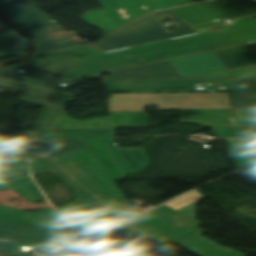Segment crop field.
<instances>
[{"label": "crop field", "instance_id": "e52e79f7", "mask_svg": "<svg viewBox=\"0 0 256 256\" xmlns=\"http://www.w3.org/2000/svg\"><path fill=\"white\" fill-rule=\"evenodd\" d=\"M110 92H232L230 79L102 80Z\"/></svg>", "mask_w": 256, "mask_h": 256}, {"label": "crop field", "instance_id": "5866460e", "mask_svg": "<svg viewBox=\"0 0 256 256\" xmlns=\"http://www.w3.org/2000/svg\"><path fill=\"white\" fill-rule=\"evenodd\" d=\"M213 132L220 138H235L234 127H213Z\"/></svg>", "mask_w": 256, "mask_h": 256}, {"label": "crop field", "instance_id": "1d83c4d3", "mask_svg": "<svg viewBox=\"0 0 256 256\" xmlns=\"http://www.w3.org/2000/svg\"><path fill=\"white\" fill-rule=\"evenodd\" d=\"M234 108H256V93H232Z\"/></svg>", "mask_w": 256, "mask_h": 256}, {"label": "crop field", "instance_id": "8a807250", "mask_svg": "<svg viewBox=\"0 0 256 256\" xmlns=\"http://www.w3.org/2000/svg\"><path fill=\"white\" fill-rule=\"evenodd\" d=\"M256 16L194 28L198 34L128 49L101 53L79 47L34 54L24 63L34 69L69 79L112 72L256 42Z\"/></svg>", "mask_w": 256, "mask_h": 256}, {"label": "crop field", "instance_id": "bd1437ed", "mask_svg": "<svg viewBox=\"0 0 256 256\" xmlns=\"http://www.w3.org/2000/svg\"><path fill=\"white\" fill-rule=\"evenodd\" d=\"M198 78H256V66L212 74Z\"/></svg>", "mask_w": 256, "mask_h": 256}, {"label": "crop field", "instance_id": "a9b5d70f", "mask_svg": "<svg viewBox=\"0 0 256 256\" xmlns=\"http://www.w3.org/2000/svg\"><path fill=\"white\" fill-rule=\"evenodd\" d=\"M106 120L108 126H141L149 124V114L146 112H109Z\"/></svg>", "mask_w": 256, "mask_h": 256}, {"label": "crop field", "instance_id": "28ad6ade", "mask_svg": "<svg viewBox=\"0 0 256 256\" xmlns=\"http://www.w3.org/2000/svg\"><path fill=\"white\" fill-rule=\"evenodd\" d=\"M31 34L35 40V51L42 52L53 49H60L72 46L85 45L89 42L73 40L77 36L74 32L69 33L57 26L53 21L23 28Z\"/></svg>", "mask_w": 256, "mask_h": 256}, {"label": "crop field", "instance_id": "d1516ede", "mask_svg": "<svg viewBox=\"0 0 256 256\" xmlns=\"http://www.w3.org/2000/svg\"><path fill=\"white\" fill-rule=\"evenodd\" d=\"M6 16L20 28L51 21L31 0H0Z\"/></svg>", "mask_w": 256, "mask_h": 256}, {"label": "crop field", "instance_id": "dd49c442", "mask_svg": "<svg viewBox=\"0 0 256 256\" xmlns=\"http://www.w3.org/2000/svg\"><path fill=\"white\" fill-rule=\"evenodd\" d=\"M7 188L14 189L32 202L44 198L43 194L40 192L31 178H25L8 183H0V190ZM0 221L29 227L68 238L75 237L57 231L59 227L68 225V223L53 208L30 214L0 205Z\"/></svg>", "mask_w": 256, "mask_h": 256}, {"label": "crop field", "instance_id": "ac0d7876", "mask_svg": "<svg viewBox=\"0 0 256 256\" xmlns=\"http://www.w3.org/2000/svg\"><path fill=\"white\" fill-rule=\"evenodd\" d=\"M52 164L73 180L98 203L130 218L143 212L127 203L108 172L88 147L51 158Z\"/></svg>", "mask_w": 256, "mask_h": 256}, {"label": "crop field", "instance_id": "dafd665d", "mask_svg": "<svg viewBox=\"0 0 256 256\" xmlns=\"http://www.w3.org/2000/svg\"><path fill=\"white\" fill-rule=\"evenodd\" d=\"M183 120L209 125H234L231 109H182Z\"/></svg>", "mask_w": 256, "mask_h": 256}, {"label": "crop field", "instance_id": "d9b57169", "mask_svg": "<svg viewBox=\"0 0 256 256\" xmlns=\"http://www.w3.org/2000/svg\"><path fill=\"white\" fill-rule=\"evenodd\" d=\"M46 127H105V124L103 117L76 121L66 111L44 107L32 128Z\"/></svg>", "mask_w": 256, "mask_h": 256}, {"label": "crop field", "instance_id": "d32e631a", "mask_svg": "<svg viewBox=\"0 0 256 256\" xmlns=\"http://www.w3.org/2000/svg\"><path fill=\"white\" fill-rule=\"evenodd\" d=\"M233 85L236 92L256 91V80H233Z\"/></svg>", "mask_w": 256, "mask_h": 256}, {"label": "crop field", "instance_id": "22f410ed", "mask_svg": "<svg viewBox=\"0 0 256 256\" xmlns=\"http://www.w3.org/2000/svg\"><path fill=\"white\" fill-rule=\"evenodd\" d=\"M0 238L57 249L59 236L0 222Z\"/></svg>", "mask_w": 256, "mask_h": 256}, {"label": "crop field", "instance_id": "3316defc", "mask_svg": "<svg viewBox=\"0 0 256 256\" xmlns=\"http://www.w3.org/2000/svg\"><path fill=\"white\" fill-rule=\"evenodd\" d=\"M58 210L83 233L125 219L86 197L68 203L58 208Z\"/></svg>", "mask_w": 256, "mask_h": 256}, {"label": "crop field", "instance_id": "4177f3b9", "mask_svg": "<svg viewBox=\"0 0 256 256\" xmlns=\"http://www.w3.org/2000/svg\"><path fill=\"white\" fill-rule=\"evenodd\" d=\"M229 143L231 155L239 167L256 172V156L246 150L237 140H229Z\"/></svg>", "mask_w": 256, "mask_h": 256}, {"label": "crop field", "instance_id": "ae1a2a85", "mask_svg": "<svg viewBox=\"0 0 256 256\" xmlns=\"http://www.w3.org/2000/svg\"><path fill=\"white\" fill-rule=\"evenodd\" d=\"M32 163V171L33 175L44 173L51 171L56 176H58L61 180H63L65 183H67L69 186H71L76 194V198H80L83 196H86L83 192H81L74 184H72L67 178H65L62 174H60L51 164L49 159H39V160H31ZM70 187V188H71Z\"/></svg>", "mask_w": 256, "mask_h": 256}, {"label": "crop field", "instance_id": "5d738f31", "mask_svg": "<svg viewBox=\"0 0 256 256\" xmlns=\"http://www.w3.org/2000/svg\"><path fill=\"white\" fill-rule=\"evenodd\" d=\"M126 220V219H125ZM124 221V220H123ZM120 222H122V221H120ZM119 223V222H118ZM116 224V223H115ZM114 225V224H113ZM111 226V225H110Z\"/></svg>", "mask_w": 256, "mask_h": 256}, {"label": "crop field", "instance_id": "4a817a6b", "mask_svg": "<svg viewBox=\"0 0 256 256\" xmlns=\"http://www.w3.org/2000/svg\"><path fill=\"white\" fill-rule=\"evenodd\" d=\"M28 143H40L50 145V152L29 153ZM21 150H13L15 159L21 158H48L57 156L81 147L86 146L83 140L54 141V140H38V141H21Z\"/></svg>", "mask_w": 256, "mask_h": 256}, {"label": "crop field", "instance_id": "412701ff", "mask_svg": "<svg viewBox=\"0 0 256 256\" xmlns=\"http://www.w3.org/2000/svg\"><path fill=\"white\" fill-rule=\"evenodd\" d=\"M104 8L85 12L82 19L92 27L109 33L151 11H157L195 0H97Z\"/></svg>", "mask_w": 256, "mask_h": 256}, {"label": "crop field", "instance_id": "5142ce71", "mask_svg": "<svg viewBox=\"0 0 256 256\" xmlns=\"http://www.w3.org/2000/svg\"><path fill=\"white\" fill-rule=\"evenodd\" d=\"M0 74L25 80V81L46 85V86L57 88L64 91L68 90L70 87H72L77 83V81H72L69 79L57 77L54 75H50L47 73H43V72L26 68L23 66H19V65H11L8 68L0 70Z\"/></svg>", "mask_w": 256, "mask_h": 256}, {"label": "crop field", "instance_id": "5a996713", "mask_svg": "<svg viewBox=\"0 0 256 256\" xmlns=\"http://www.w3.org/2000/svg\"><path fill=\"white\" fill-rule=\"evenodd\" d=\"M190 26L226 18L256 13V5L249 0H210L172 9Z\"/></svg>", "mask_w": 256, "mask_h": 256}, {"label": "crop field", "instance_id": "750c4746", "mask_svg": "<svg viewBox=\"0 0 256 256\" xmlns=\"http://www.w3.org/2000/svg\"><path fill=\"white\" fill-rule=\"evenodd\" d=\"M27 44L26 39L13 29L0 31V51Z\"/></svg>", "mask_w": 256, "mask_h": 256}, {"label": "crop field", "instance_id": "214f88e0", "mask_svg": "<svg viewBox=\"0 0 256 256\" xmlns=\"http://www.w3.org/2000/svg\"><path fill=\"white\" fill-rule=\"evenodd\" d=\"M115 129H35L30 139L114 137Z\"/></svg>", "mask_w": 256, "mask_h": 256}, {"label": "crop field", "instance_id": "bc2a9ffb", "mask_svg": "<svg viewBox=\"0 0 256 256\" xmlns=\"http://www.w3.org/2000/svg\"><path fill=\"white\" fill-rule=\"evenodd\" d=\"M109 74L111 77L182 78L169 61Z\"/></svg>", "mask_w": 256, "mask_h": 256}, {"label": "crop field", "instance_id": "120bbe31", "mask_svg": "<svg viewBox=\"0 0 256 256\" xmlns=\"http://www.w3.org/2000/svg\"><path fill=\"white\" fill-rule=\"evenodd\" d=\"M236 125L256 126V109H234Z\"/></svg>", "mask_w": 256, "mask_h": 256}, {"label": "crop field", "instance_id": "eef30255", "mask_svg": "<svg viewBox=\"0 0 256 256\" xmlns=\"http://www.w3.org/2000/svg\"><path fill=\"white\" fill-rule=\"evenodd\" d=\"M4 92H12V91L0 89V93H4ZM12 93H17V92H12ZM18 98H19V101L23 103L46 106V107L57 108L62 110H65L67 104L69 103L67 101H62L58 99L48 98V97L34 95L30 93H25V92L19 93Z\"/></svg>", "mask_w": 256, "mask_h": 256}, {"label": "crop field", "instance_id": "00972430", "mask_svg": "<svg viewBox=\"0 0 256 256\" xmlns=\"http://www.w3.org/2000/svg\"><path fill=\"white\" fill-rule=\"evenodd\" d=\"M13 83H18L26 87L22 88L20 87L21 85H15ZM0 87L30 92L34 94L44 95V96L58 98V99L67 100V101H74L76 97V95L73 93H68V92L57 90V89L49 88L46 86L25 82L17 79H11L3 76H0ZM60 95L69 97L71 99L59 97Z\"/></svg>", "mask_w": 256, "mask_h": 256}, {"label": "crop field", "instance_id": "733c2abd", "mask_svg": "<svg viewBox=\"0 0 256 256\" xmlns=\"http://www.w3.org/2000/svg\"><path fill=\"white\" fill-rule=\"evenodd\" d=\"M201 198H203V196L197 190H195L157 209L187 223L188 225L202 232H205L204 230L196 227L201 223L196 221L194 203Z\"/></svg>", "mask_w": 256, "mask_h": 256}, {"label": "crop field", "instance_id": "cbeb9de0", "mask_svg": "<svg viewBox=\"0 0 256 256\" xmlns=\"http://www.w3.org/2000/svg\"><path fill=\"white\" fill-rule=\"evenodd\" d=\"M217 56V55H216ZM213 52L171 60V64L182 77H190L220 70L226 67Z\"/></svg>", "mask_w": 256, "mask_h": 256}, {"label": "crop field", "instance_id": "03da06ac", "mask_svg": "<svg viewBox=\"0 0 256 256\" xmlns=\"http://www.w3.org/2000/svg\"><path fill=\"white\" fill-rule=\"evenodd\" d=\"M9 27L4 25L0 19V30H3V29H8Z\"/></svg>", "mask_w": 256, "mask_h": 256}, {"label": "crop field", "instance_id": "34b2d1b8", "mask_svg": "<svg viewBox=\"0 0 256 256\" xmlns=\"http://www.w3.org/2000/svg\"><path fill=\"white\" fill-rule=\"evenodd\" d=\"M126 225L138 237L178 243L200 256H246L200 236L202 233L154 209Z\"/></svg>", "mask_w": 256, "mask_h": 256}, {"label": "crop field", "instance_id": "92a150f3", "mask_svg": "<svg viewBox=\"0 0 256 256\" xmlns=\"http://www.w3.org/2000/svg\"><path fill=\"white\" fill-rule=\"evenodd\" d=\"M227 69L256 64V43L215 51Z\"/></svg>", "mask_w": 256, "mask_h": 256}, {"label": "crop field", "instance_id": "f4fd0767", "mask_svg": "<svg viewBox=\"0 0 256 256\" xmlns=\"http://www.w3.org/2000/svg\"><path fill=\"white\" fill-rule=\"evenodd\" d=\"M164 15H170L176 21V31L169 33L157 23L158 18ZM190 33H194V30L175 13L168 10L152 13L92 45L102 51H107Z\"/></svg>", "mask_w": 256, "mask_h": 256}, {"label": "crop field", "instance_id": "d8731c3e", "mask_svg": "<svg viewBox=\"0 0 256 256\" xmlns=\"http://www.w3.org/2000/svg\"><path fill=\"white\" fill-rule=\"evenodd\" d=\"M113 180L141 171L147 167L148 157L142 148H117L113 139H84Z\"/></svg>", "mask_w": 256, "mask_h": 256}, {"label": "crop field", "instance_id": "028f5c9d", "mask_svg": "<svg viewBox=\"0 0 256 256\" xmlns=\"http://www.w3.org/2000/svg\"><path fill=\"white\" fill-rule=\"evenodd\" d=\"M238 138H256V127H237Z\"/></svg>", "mask_w": 256, "mask_h": 256}, {"label": "crop field", "instance_id": "c035e120", "mask_svg": "<svg viewBox=\"0 0 256 256\" xmlns=\"http://www.w3.org/2000/svg\"><path fill=\"white\" fill-rule=\"evenodd\" d=\"M0 153H12V147L10 142L0 143Z\"/></svg>", "mask_w": 256, "mask_h": 256}, {"label": "crop field", "instance_id": "d3111659", "mask_svg": "<svg viewBox=\"0 0 256 256\" xmlns=\"http://www.w3.org/2000/svg\"><path fill=\"white\" fill-rule=\"evenodd\" d=\"M22 245L31 246V247H34L37 249H41L39 254L46 255V256H49L52 252L55 251L54 249H49V248H44V247L28 245V244H23V243L12 242V241L0 239V256H17V255L37 256V255H33V254L17 253V250Z\"/></svg>", "mask_w": 256, "mask_h": 256}, {"label": "crop field", "instance_id": "c21b1889", "mask_svg": "<svg viewBox=\"0 0 256 256\" xmlns=\"http://www.w3.org/2000/svg\"><path fill=\"white\" fill-rule=\"evenodd\" d=\"M0 160H12L10 154H0Z\"/></svg>", "mask_w": 256, "mask_h": 256}, {"label": "crop field", "instance_id": "0bd39190", "mask_svg": "<svg viewBox=\"0 0 256 256\" xmlns=\"http://www.w3.org/2000/svg\"><path fill=\"white\" fill-rule=\"evenodd\" d=\"M91 254H94L93 256H120L121 255L119 251H116L110 247L99 252H93ZM76 256H82V255L78 254Z\"/></svg>", "mask_w": 256, "mask_h": 256}, {"label": "crop field", "instance_id": "d23c7cc5", "mask_svg": "<svg viewBox=\"0 0 256 256\" xmlns=\"http://www.w3.org/2000/svg\"><path fill=\"white\" fill-rule=\"evenodd\" d=\"M196 1H199V0H196Z\"/></svg>", "mask_w": 256, "mask_h": 256}, {"label": "crop field", "instance_id": "b54c1fbb", "mask_svg": "<svg viewBox=\"0 0 256 256\" xmlns=\"http://www.w3.org/2000/svg\"><path fill=\"white\" fill-rule=\"evenodd\" d=\"M249 175H253V176H256V174H249Z\"/></svg>", "mask_w": 256, "mask_h": 256}, {"label": "crop field", "instance_id": "b80d0937", "mask_svg": "<svg viewBox=\"0 0 256 256\" xmlns=\"http://www.w3.org/2000/svg\"><path fill=\"white\" fill-rule=\"evenodd\" d=\"M248 149L256 153V140H240Z\"/></svg>", "mask_w": 256, "mask_h": 256}, {"label": "crop field", "instance_id": "730fd06b", "mask_svg": "<svg viewBox=\"0 0 256 256\" xmlns=\"http://www.w3.org/2000/svg\"><path fill=\"white\" fill-rule=\"evenodd\" d=\"M30 175L27 161H0V181Z\"/></svg>", "mask_w": 256, "mask_h": 256}, {"label": "crop field", "instance_id": "e1f06a70", "mask_svg": "<svg viewBox=\"0 0 256 256\" xmlns=\"http://www.w3.org/2000/svg\"><path fill=\"white\" fill-rule=\"evenodd\" d=\"M27 47H28V45L19 47V48L2 51V52H0V58L6 57V56H11V55L18 56V55L25 54L27 52Z\"/></svg>", "mask_w": 256, "mask_h": 256}]
</instances>
